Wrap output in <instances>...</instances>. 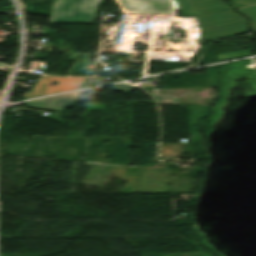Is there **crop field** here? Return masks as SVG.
Here are the masks:
<instances>
[{
	"instance_id": "crop-field-7",
	"label": "crop field",
	"mask_w": 256,
	"mask_h": 256,
	"mask_svg": "<svg viewBox=\"0 0 256 256\" xmlns=\"http://www.w3.org/2000/svg\"><path fill=\"white\" fill-rule=\"evenodd\" d=\"M156 93V89H153L152 97L157 101L158 104L174 105L178 100L173 96H156Z\"/></svg>"
},
{
	"instance_id": "crop-field-3",
	"label": "crop field",
	"mask_w": 256,
	"mask_h": 256,
	"mask_svg": "<svg viewBox=\"0 0 256 256\" xmlns=\"http://www.w3.org/2000/svg\"><path fill=\"white\" fill-rule=\"evenodd\" d=\"M85 78H56L50 76H41L31 93H24V98L39 97L48 94L79 89ZM57 81V85L50 83Z\"/></svg>"
},
{
	"instance_id": "crop-field-1",
	"label": "crop field",
	"mask_w": 256,
	"mask_h": 256,
	"mask_svg": "<svg viewBox=\"0 0 256 256\" xmlns=\"http://www.w3.org/2000/svg\"><path fill=\"white\" fill-rule=\"evenodd\" d=\"M174 4L184 15H197L202 25L201 40L249 32L245 19L219 0H174Z\"/></svg>"
},
{
	"instance_id": "crop-field-5",
	"label": "crop field",
	"mask_w": 256,
	"mask_h": 256,
	"mask_svg": "<svg viewBox=\"0 0 256 256\" xmlns=\"http://www.w3.org/2000/svg\"><path fill=\"white\" fill-rule=\"evenodd\" d=\"M80 92L38 99L30 102H26L28 107L55 111L65 113V111L69 108H73ZM55 100H57V104H55Z\"/></svg>"
},
{
	"instance_id": "crop-field-2",
	"label": "crop field",
	"mask_w": 256,
	"mask_h": 256,
	"mask_svg": "<svg viewBox=\"0 0 256 256\" xmlns=\"http://www.w3.org/2000/svg\"><path fill=\"white\" fill-rule=\"evenodd\" d=\"M101 0H54L52 23H93Z\"/></svg>"
},
{
	"instance_id": "crop-field-6",
	"label": "crop field",
	"mask_w": 256,
	"mask_h": 256,
	"mask_svg": "<svg viewBox=\"0 0 256 256\" xmlns=\"http://www.w3.org/2000/svg\"><path fill=\"white\" fill-rule=\"evenodd\" d=\"M237 11L251 19L252 29L256 32V5L238 9Z\"/></svg>"
},
{
	"instance_id": "crop-field-4",
	"label": "crop field",
	"mask_w": 256,
	"mask_h": 256,
	"mask_svg": "<svg viewBox=\"0 0 256 256\" xmlns=\"http://www.w3.org/2000/svg\"><path fill=\"white\" fill-rule=\"evenodd\" d=\"M129 13H171L169 0H118Z\"/></svg>"
},
{
	"instance_id": "crop-field-8",
	"label": "crop field",
	"mask_w": 256,
	"mask_h": 256,
	"mask_svg": "<svg viewBox=\"0 0 256 256\" xmlns=\"http://www.w3.org/2000/svg\"><path fill=\"white\" fill-rule=\"evenodd\" d=\"M114 89L117 91L123 92L125 94L131 93L136 90L135 87H133L127 83L118 84L115 86Z\"/></svg>"
}]
</instances>
